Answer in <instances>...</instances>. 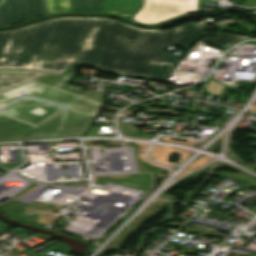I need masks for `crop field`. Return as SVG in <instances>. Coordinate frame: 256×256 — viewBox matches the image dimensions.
Instances as JSON below:
<instances>
[{
	"instance_id": "9",
	"label": "crop field",
	"mask_w": 256,
	"mask_h": 256,
	"mask_svg": "<svg viewBox=\"0 0 256 256\" xmlns=\"http://www.w3.org/2000/svg\"><path fill=\"white\" fill-rule=\"evenodd\" d=\"M242 6L245 7H254L256 6V0H244Z\"/></svg>"
},
{
	"instance_id": "4",
	"label": "crop field",
	"mask_w": 256,
	"mask_h": 256,
	"mask_svg": "<svg viewBox=\"0 0 256 256\" xmlns=\"http://www.w3.org/2000/svg\"><path fill=\"white\" fill-rule=\"evenodd\" d=\"M144 0H107L103 13L131 19L142 7Z\"/></svg>"
},
{
	"instance_id": "3",
	"label": "crop field",
	"mask_w": 256,
	"mask_h": 256,
	"mask_svg": "<svg viewBox=\"0 0 256 256\" xmlns=\"http://www.w3.org/2000/svg\"><path fill=\"white\" fill-rule=\"evenodd\" d=\"M45 14L46 0H6L0 10V26L16 24Z\"/></svg>"
},
{
	"instance_id": "11",
	"label": "crop field",
	"mask_w": 256,
	"mask_h": 256,
	"mask_svg": "<svg viewBox=\"0 0 256 256\" xmlns=\"http://www.w3.org/2000/svg\"><path fill=\"white\" fill-rule=\"evenodd\" d=\"M179 46H183V45H179ZM185 47V49L188 47V46H184Z\"/></svg>"
},
{
	"instance_id": "5",
	"label": "crop field",
	"mask_w": 256,
	"mask_h": 256,
	"mask_svg": "<svg viewBox=\"0 0 256 256\" xmlns=\"http://www.w3.org/2000/svg\"><path fill=\"white\" fill-rule=\"evenodd\" d=\"M44 74L29 70H0V89L23 83Z\"/></svg>"
},
{
	"instance_id": "1",
	"label": "crop field",
	"mask_w": 256,
	"mask_h": 256,
	"mask_svg": "<svg viewBox=\"0 0 256 256\" xmlns=\"http://www.w3.org/2000/svg\"><path fill=\"white\" fill-rule=\"evenodd\" d=\"M210 29L189 23L168 31L112 18L62 17L0 31V69L63 74L72 62L107 73L165 80L180 56L168 45H190Z\"/></svg>"
},
{
	"instance_id": "6",
	"label": "crop field",
	"mask_w": 256,
	"mask_h": 256,
	"mask_svg": "<svg viewBox=\"0 0 256 256\" xmlns=\"http://www.w3.org/2000/svg\"><path fill=\"white\" fill-rule=\"evenodd\" d=\"M215 34H217V35L212 38L207 36L200 41L207 42L213 46L226 49L229 46L237 43L240 40H243L245 38H250L247 36L228 34V33L222 32V31H218Z\"/></svg>"
},
{
	"instance_id": "7",
	"label": "crop field",
	"mask_w": 256,
	"mask_h": 256,
	"mask_svg": "<svg viewBox=\"0 0 256 256\" xmlns=\"http://www.w3.org/2000/svg\"><path fill=\"white\" fill-rule=\"evenodd\" d=\"M106 0H70L71 12L101 13Z\"/></svg>"
},
{
	"instance_id": "2",
	"label": "crop field",
	"mask_w": 256,
	"mask_h": 256,
	"mask_svg": "<svg viewBox=\"0 0 256 256\" xmlns=\"http://www.w3.org/2000/svg\"><path fill=\"white\" fill-rule=\"evenodd\" d=\"M190 12H198L197 0H145L143 8L132 20L156 24Z\"/></svg>"
},
{
	"instance_id": "10",
	"label": "crop field",
	"mask_w": 256,
	"mask_h": 256,
	"mask_svg": "<svg viewBox=\"0 0 256 256\" xmlns=\"http://www.w3.org/2000/svg\"><path fill=\"white\" fill-rule=\"evenodd\" d=\"M5 0H0V6L4 3Z\"/></svg>"
},
{
	"instance_id": "8",
	"label": "crop field",
	"mask_w": 256,
	"mask_h": 256,
	"mask_svg": "<svg viewBox=\"0 0 256 256\" xmlns=\"http://www.w3.org/2000/svg\"><path fill=\"white\" fill-rule=\"evenodd\" d=\"M48 14L70 12L69 0H47Z\"/></svg>"
}]
</instances>
